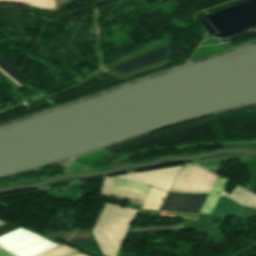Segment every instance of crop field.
Here are the masks:
<instances>
[{
  "label": "crop field",
  "instance_id": "obj_1",
  "mask_svg": "<svg viewBox=\"0 0 256 256\" xmlns=\"http://www.w3.org/2000/svg\"><path fill=\"white\" fill-rule=\"evenodd\" d=\"M136 211L107 204L92 232L103 254L115 256Z\"/></svg>",
  "mask_w": 256,
  "mask_h": 256
},
{
  "label": "crop field",
  "instance_id": "obj_2",
  "mask_svg": "<svg viewBox=\"0 0 256 256\" xmlns=\"http://www.w3.org/2000/svg\"><path fill=\"white\" fill-rule=\"evenodd\" d=\"M0 246L16 256H35L61 247L23 228L0 237Z\"/></svg>",
  "mask_w": 256,
  "mask_h": 256
},
{
  "label": "crop field",
  "instance_id": "obj_3",
  "mask_svg": "<svg viewBox=\"0 0 256 256\" xmlns=\"http://www.w3.org/2000/svg\"><path fill=\"white\" fill-rule=\"evenodd\" d=\"M217 176V174L195 163L182 165L170 191L209 193Z\"/></svg>",
  "mask_w": 256,
  "mask_h": 256
},
{
  "label": "crop field",
  "instance_id": "obj_4",
  "mask_svg": "<svg viewBox=\"0 0 256 256\" xmlns=\"http://www.w3.org/2000/svg\"><path fill=\"white\" fill-rule=\"evenodd\" d=\"M180 167L181 165L164 168V169L152 170V171L113 176V177L150 184L160 190L168 191Z\"/></svg>",
  "mask_w": 256,
  "mask_h": 256
},
{
  "label": "crop field",
  "instance_id": "obj_5",
  "mask_svg": "<svg viewBox=\"0 0 256 256\" xmlns=\"http://www.w3.org/2000/svg\"><path fill=\"white\" fill-rule=\"evenodd\" d=\"M207 195L168 193L160 210L199 213Z\"/></svg>",
  "mask_w": 256,
  "mask_h": 256
},
{
  "label": "crop field",
  "instance_id": "obj_6",
  "mask_svg": "<svg viewBox=\"0 0 256 256\" xmlns=\"http://www.w3.org/2000/svg\"><path fill=\"white\" fill-rule=\"evenodd\" d=\"M165 57V46L157 49L155 51H152L150 53L144 54L142 56H139L137 58H134L132 60H129L121 65H118L112 69L122 73L125 71H128L130 69L142 66L144 64L156 61L158 59L164 58Z\"/></svg>",
  "mask_w": 256,
  "mask_h": 256
},
{
  "label": "crop field",
  "instance_id": "obj_7",
  "mask_svg": "<svg viewBox=\"0 0 256 256\" xmlns=\"http://www.w3.org/2000/svg\"><path fill=\"white\" fill-rule=\"evenodd\" d=\"M243 207L237 206L229 199L220 196L211 215H221L240 218Z\"/></svg>",
  "mask_w": 256,
  "mask_h": 256
},
{
  "label": "crop field",
  "instance_id": "obj_8",
  "mask_svg": "<svg viewBox=\"0 0 256 256\" xmlns=\"http://www.w3.org/2000/svg\"><path fill=\"white\" fill-rule=\"evenodd\" d=\"M223 196H226L232 200H234L238 205L254 207L256 208V195L236 186L231 195L222 192ZM248 201L247 203L245 201Z\"/></svg>",
  "mask_w": 256,
  "mask_h": 256
},
{
  "label": "crop field",
  "instance_id": "obj_9",
  "mask_svg": "<svg viewBox=\"0 0 256 256\" xmlns=\"http://www.w3.org/2000/svg\"><path fill=\"white\" fill-rule=\"evenodd\" d=\"M165 195L166 192L151 187L141 208L158 210Z\"/></svg>",
  "mask_w": 256,
  "mask_h": 256
},
{
  "label": "crop field",
  "instance_id": "obj_10",
  "mask_svg": "<svg viewBox=\"0 0 256 256\" xmlns=\"http://www.w3.org/2000/svg\"><path fill=\"white\" fill-rule=\"evenodd\" d=\"M112 188L146 195L150 186L116 179Z\"/></svg>",
  "mask_w": 256,
  "mask_h": 256
},
{
  "label": "crop field",
  "instance_id": "obj_11",
  "mask_svg": "<svg viewBox=\"0 0 256 256\" xmlns=\"http://www.w3.org/2000/svg\"><path fill=\"white\" fill-rule=\"evenodd\" d=\"M0 68H2L6 73H8L12 78H14L21 85L28 81L21 73H19L15 68H13L9 63H7L2 57H0ZM2 69L0 71L5 74L9 79H11L15 84L20 86L14 79H12L8 74H6Z\"/></svg>",
  "mask_w": 256,
  "mask_h": 256
},
{
  "label": "crop field",
  "instance_id": "obj_12",
  "mask_svg": "<svg viewBox=\"0 0 256 256\" xmlns=\"http://www.w3.org/2000/svg\"><path fill=\"white\" fill-rule=\"evenodd\" d=\"M70 0H55L56 7L68 2ZM54 0H29V5L37 6L41 8H53L55 7Z\"/></svg>",
  "mask_w": 256,
  "mask_h": 256
},
{
  "label": "crop field",
  "instance_id": "obj_13",
  "mask_svg": "<svg viewBox=\"0 0 256 256\" xmlns=\"http://www.w3.org/2000/svg\"><path fill=\"white\" fill-rule=\"evenodd\" d=\"M218 198H219V196H217V195L209 194L206 202L204 203V205L200 211V214L210 215Z\"/></svg>",
  "mask_w": 256,
  "mask_h": 256
},
{
  "label": "crop field",
  "instance_id": "obj_14",
  "mask_svg": "<svg viewBox=\"0 0 256 256\" xmlns=\"http://www.w3.org/2000/svg\"><path fill=\"white\" fill-rule=\"evenodd\" d=\"M227 181L218 177L211 193L220 195Z\"/></svg>",
  "mask_w": 256,
  "mask_h": 256
},
{
  "label": "crop field",
  "instance_id": "obj_15",
  "mask_svg": "<svg viewBox=\"0 0 256 256\" xmlns=\"http://www.w3.org/2000/svg\"><path fill=\"white\" fill-rule=\"evenodd\" d=\"M0 256H11L8 253H6L3 249L0 250Z\"/></svg>",
  "mask_w": 256,
  "mask_h": 256
},
{
  "label": "crop field",
  "instance_id": "obj_16",
  "mask_svg": "<svg viewBox=\"0 0 256 256\" xmlns=\"http://www.w3.org/2000/svg\"><path fill=\"white\" fill-rule=\"evenodd\" d=\"M4 223H6V222L0 221V225H2V224H4Z\"/></svg>",
  "mask_w": 256,
  "mask_h": 256
},
{
  "label": "crop field",
  "instance_id": "obj_17",
  "mask_svg": "<svg viewBox=\"0 0 256 256\" xmlns=\"http://www.w3.org/2000/svg\"><path fill=\"white\" fill-rule=\"evenodd\" d=\"M19 1H26V2H28V0H19Z\"/></svg>",
  "mask_w": 256,
  "mask_h": 256
},
{
  "label": "crop field",
  "instance_id": "obj_18",
  "mask_svg": "<svg viewBox=\"0 0 256 256\" xmlns=\"http://www.w3.org/2000/svg\"><path fill=\"white\" fill-rule=\"evenodd\" d=\"M78 256H84V255L80 254V255H78Z\"/></svg>",
  "mask_w": 256,
  "mask_h": 256
},
{
  "label": "crop field",
  "instance_id": "obj_19",
  "mask_svg": "<svg viewBox=\"0 0 256 256\" xmlns=\"http://www.w3.org/2000/svg\"><path fill=\"white\" fill-rule=\"evenodd\" d=\"M1 249V248H0Z\"/></svg>",
  "mask_w": 256,
  "mask_h": 256
}]
</instances>
